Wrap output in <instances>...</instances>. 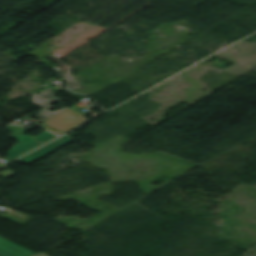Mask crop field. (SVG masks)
Returning <instances> with one entry per match:
<instances>
[{
  "label": "crop field",
  "mask_w": 256,
  "mask_h": 256,
  "mask_svg": "<svg viewBox=\"0 0 256 256\" xmlns=\"http://www.w3.org/2000/svg\"><path fill=\"white\" fill-rule=\"evenodd\" d=\"M16 173H13V172H11V171H9V170H6V171H4V172H1L0 173V176L1 177H8V178H10V177H12L13 175H15Z\"/></svg>",
  "instance_id": "8"
},
{
  "label": "crop field",
  "mask_w": 256,
  "mask_h": 256,
  "mask_svg": "<svg viewBox=\"0 0 256 256\" xmlns=\"http://www.w3.org/2000/svg\"><path fill=\"white\" fill-rule=\"evenodd\" d=\"M43 124H44V123H43ZM40 127H43V128H45V129H48V130H50V131H52V132H54V133H56V134H58V135H60L61 133H63V132H61V131H59V130H57V129H55V128H53V127L47 125V124H44V125H42V126H40Z\"/></svg>",
  "instance_id": "7"
},
{
  "label": "crop field",
  "mask_w": 256,
  "mask_h": 256,
  "mask_svg": "<svg viewBox=\"0 0 256 256\" xmlns=\"http://www.w3.org/2000/svg\"><path fill=\"white\" fill-rule=\"evenodd\" d=\"M34 254L36 253L0 238V255L2 256H31Z\"/></svg>",
  "instance_id": "4"
},
{
  "label": "crop field",
  "mask_w": 256,
  "mask_h": 256,
  "mask_svg": "<svg viewBox=\"0 0 256 256\" xmlns=\"http://www.w3.org/2000/svg\"><path fill=\"white\" fill-rule=\"evenodd\" d=\"M34 256H47V255H46L45 253L41 252V253L36 254V255H34Z\"/></svg>",
  "instance_id": "9"
},
{
  "label": "crop field",
  "mask_w": 256,
  "mask_h": 256,
  "mask_svg": "<svg viewBox=\"0 0 256 256\" xmlns=\"http://www.w3.org/2000/svg\"><path fill=\"white\" fill-rule=\"evenodd\" d=\"M71 142H73V139L69 135H66V136L22 157L21 159H19V161L31 164V163L39 160L40 158L48 155L49 153L65 146Z\"/></svg>",
  "instance_id": "3"
},
{
  "label": "crop field",
  "mask_w": 256,
  "mask_h": 256,
  "mask_svg": "<svg viewBox=\"0 0 256 256\" xmlns=\"http://www.w3.org/2000/svg\"><path fill=\"white\" fill-rule=\"evenodd\" d=\"M52 60L56 61L57 63H59L60 65L54 67V68H57L58 70H60L61 72H58L57 70H54L62 77H64L65 79L68 78V77H73L70 73V69L71 67L63 64L62 62H60L57 58H55L54 56H51L50 57ZM67 86L69 89L73 90V89H77L79 88L75 79L74 78H71L69 80H67Z\"/></svg>",
  "instance_id": "5"
},
{
  "label": "crop field",
  "mask_w": 256,
  "mask_h": 256,
  "mask_svg": "<svg viewBox=\"0 0 256 256\" xmlns=\"http://www.w3.org/2000/svg\"><path fill=\"white\" fill-rule=\"evenodd\" d=\"M83 117L84 115L70 108L45 123L66 132L87 121Z\"/></svg>",
  "instance_id": "2"
},
{
  "label": "crop field",
  "mask_w": 256,
  "mask_h": 256,
  "mask_svg": "<svg viewBox=\"0 0 256 256\" xmlns=\"http://www.w3.org/2000/svg\"><path fill=\"white\" fill-rule=\"evenodd\" d=\"M56 137L55 135L45 131L41 133L40 135L34 137V136H28V135H22L17 140L19 143L15 146H13L6 154L9 156L7 158L13 160L15 157L43 144L44 142Z\"/></svg>",
  "instance_id": "1"
},
{
  "label": "crop field",
  "mask_w": 256,
  "mask_h": 256,
  "mask_svg": "<svg viewBox=\"0 0 256 256\" xmlns=\"http://www.w3.org/2000/svg\"><path fill=\"white\" fill-rule=\"evenodd\" d=\"M31 95L33 96V100H34L35 104H37L39 106L42 105L43 103L47 102L48 98L55 97L51 88L40 93L38 96L34 93Z\"/></svg>",
  "instance_id": "6"
}]
</instances>
